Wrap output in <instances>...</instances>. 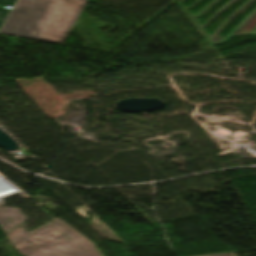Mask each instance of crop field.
I'll return each mask as SVG.
<instances>
[{"mask_svg": "<svg viewBox=\"0 0 256 256\" xmlns=\"http://www.w3.org/2000/svg\"><path fill=\"white\" fill-rule=\"evenodd\" d=\"M87 0H16L1 34L63 44Z\"/></svg>", "mask_w": 256, "mask_h": 256, "instance_id": "8a807250", "label": "crop field"}, {"mask_svg": "<svg viewBox=\"0 0 256 256\" xmlns=\"http://www.w3.org/2000/svg\"><path fill=\"white\" fill-rule=\"evenodd\" d=\"M9 13H10V10L0 8V27Z\"/></svg>", "mask_w": 256, "mask_h": 256, "instance_id": "ac0d7876", "label": "crop field"}, {"mask_svg": "<svg viewBox=\"0 0 256 256\" xmlns=\"http://www.w3.org/2000/svg\"><path fill=\"white\" fill-rule=\"evenodd\" d=\"M15 0H0V6L8 5L13 6Z\"/></svg>", "mask_w": 256, "mask_h": 256, "instance_id": "34b2d1b8", "label": "crop field"}, {"mask_svg": "<svg viewBox=\"0 0 256 256\" xmlns=\"http://www.w3.org/2000/svg\"><path fill=\"white\" fill-rule=\"evenodd\" d=\"M252 31H253V33L254 34H256V26L252 29ZM220 39H218V38H213V41L214 42H217V41H219Z\"/></svg>", "mask_w": 256, "mask_h": 256, "instance_id": "412701ff", "label": "crop field"}]
</instances>
